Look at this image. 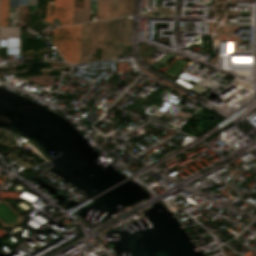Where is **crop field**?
Returning <instances> with one entry per match:
<instances>
[{"mask_svg":"<svg viewBox=\"0 0 256 256\" xmlns=\"http://www.w3.org/2000/svg\"><path fill=\"white\" fill-rule=\"evenodd\" d=\"M80 26H69L53 30V44L64 60L79 63Z\"/></svg>","mask_w":256,"mask_h":256,"instance_id":"obj_1","label":"crop field"},{"mask_svg":"<svg viewBox=\"0 0 256 256\" xmlns=\"http://www.w3.org/2000/svg\"><path fill=\"white\" fill-rule=\"evenodd\" d=\"M49 5L47 2L46 19L53 23V18H58L61 26L71 25L73 16V0H54V12L49 18ZM89 21V0L83 1V8H74L73 24Z\"/></svg>","mask_w":256,"mask_h":256,"instance_id":"obj_2","label":"crop field"},{"mask_svg":"<svg viewBox=\"0 0 256 256\" xmlns=\"http://www.w3.org/2000/svg\"><path fill=\"white\" fill-rule=\"evenodd\" d=\"M38 16H39V10H35L32 14L29 15V28L39 33L40 31L45 29L47 25L44 24L46 23L44 21L42 23L38 22L39 21V20L37 21Z\"/></svg>","mask_w":256,"mask_h":256,"instance_id":"obj_3","label":"crop field"},{"mask_svg":"<svg viewBox=\"0 0 256 256\" xmlns=\"http://www.w3.org/2000/svg\"><path fill=\"white\" fill-rule=\"evenodd\" d=\"M8 8L9 0H0V26H7Z\"/></svg>","mask_w":256,"mask_h":256,"instance_id":"obj_4","label":"crop field"}]
</instances>
